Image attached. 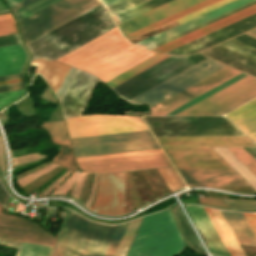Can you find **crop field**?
<instances>
[{
  "instance_id": "6",
  "label": "crop field",
  "mask_w": 256,
  "mask_h": 256,
  "mask_svg": "<svg viewBox=\"0 0 256 256\" xmlns=\"http://www.w3.org/2000/svg\"><path fill=\"white\" fill-rule=\"evenodd\" d=\"M116 226L78 215L60 256H104Z\"/></svg>"
},
{
  "instance_id": "66",
  "label": "crop field",
  "mask_w": 256,
  "mask_h": 256,
  "mask_svg": "<svg viewBox=\"0 0 256 256\" xmlns=\"http://www.w3.org/2000/svg\"><path fill=\"white\" fill-rule=\"evenodd\" d=\"M7 13H10V12H6V13H0V14H7Z\"/></svg>"
},
{
  "instance_id": "24",
  "label": "crop field",
  "mask_w": 256,
  "mask_h": 256,
  "mask_svg": "<svg viewBox=\"0 0 256 256\" xmlns=\"http://www.w3.org/2000/svg\"><path fill=\"white\" fill-rule=\"evenodd\" d=\"M210 49L256 69V48L234 38L220 43Z\"/></svg>"
},
{
  "instance_id": "25",
  "label": "crop field",
  "mask_w": 256,
  "mask_h": 256,
  "mask_svg": "<svg viewBox=\"0 0 256 256\" xmlns=\"http://www.w3.org/2000/svg\"><path fill=\"white\" fill-rule=\"evenodd\" d=\"M225 116L256 142V98Z\"/></svg>"
},
{
  "instance_id": "27",
  "label": "crop field",
  "mask_w": 256,
  "mask_h": 256,
  "mask_svg": "<svg viewBox=\"0 0 256 256\" xmlns=\"http://www.w3.org/2000/svg\"><path fill=\"white\" fill-rule=\"evenodd\" d=\"M204 209L208 214L209 218L211 219L224 244L226 245L231 256H245L234 235L232 234L230 228L228 227L225 219L223 218L220 210L205 207Z\"/></svg>"
},
{
  "instance_id": "2",
  "label": "crop field",
  "mask_w": 256,
  "mask_h": 256,
  "mask_svg": "<svg viewBox=\"0 0 256 256\" xmlns=\"http://www.w3.org/2000/svg\"><path fill=\"white\" fill-rule=\"evenodd\" d=\"M176 169H231L209 146L255 145L247 136L156 137Z\"/></svg>"
},
{
  "instance_id": "28",
  "label": "crop field",
  "mask_w": 256,
  "mask_h": 256,
  "mask_svg": "<svg viewBox=\"0 0 256 256\" xmlns=\"http://www.w3.org/2000/svg\"><path fill=\"white\" fill-rule=\"evenodd\" d=\"M31 64L38 65L36 73L43 75L55 93L69 69V66L49 59L34 60Z\"/></svg>"
},
{
  "instance_id": "16",
  "label": "crop field",
  "mask_w": 256,
  "mask_h": 256,
  "mask_svg": "<svg viewBox=\"0 0 256 256\" xmlns=\"http://www.w3.org/2000/svg\"><path fill=\"white\" fill-rule=\"evenodd\" d=\"M0 237L54 246L56 240L34 223L3 214L0 206Z\"/></svg>"
},
{
  "instance_id": "51",
  "label": "crop field",
  "mask_w": 256,
  "mask_h": 256,
  "mask_svg": "<svg viewBox=\"0 0 256 256\" xmlns=\"http://www.w3.org/2000/svg\"><path fill=\"white\" fill-rule=\"evenodd\" d=\"M229 208H236L240 210H256V200L237 201L223 199Z\"/></svg>"
},
{
  "instance_id": "29",
  "label": "crop field",
  "mask_w": 256,
  "mask_h": 256,
  "mask_svg": "<svg viewBox=\"0 0 256 256\" xmlns=\"http://www.w3.org/2000/svg\"><path fill=\"white\" fill-rule=\"evenodd\" d=\"M238 243L255 244L256 238L242 213L221 210Z\"/></svg>"
},
{
  "instance_id": "46",
  "label": "crop field",
  "mask_w": 256,
  "mask_h": 256,
  "mask_svg": "<svg viewBox=\"0 0 256 256\" xmlns=\"http://www.w3.org/2000/svg\"><path fill=\"white\" fill-rule=\"evenodd\" d=\"M77 214L70 212L52 256H59Z\"/></svg>"
},
{
  "instance_id": "18",
  "label": "crop field",
  "mask_w": 256,
  "mask_h": 256,
  "mask_svg": "<svg viewBox=\"0 0 256 256\" xmlns=\"http://www.w3.org/2000/svg\"><path fill=\"white\" fill-rule=\"evenodd\" d=\"M166 156V155H165ZM164 154L78 163L88 172L103 173L170 165Z\"/></svg>"
},
{
  "instance_id": "63",
  "label": "crop field",
  "mask_w": 256,
  "mask_h": 256,
  "mask_svg": "<svg viewBox=\"0 0 256 256\" xmlns=\"http://www.w3.org/2000/svg\"><path fill=\"white\" fill-rule=\"evenodd\" d=\"M245 34H247V35H249V36H251V37L256 38V28H254V29H252V30L246 32Z\"/></svg>"
},
{
  "instance_id": "53",
  "label": "crop field",
  "mask_w": 256,
  "mask_h": 256,
  "mask_svg": "<svg viewBox=\"0 0 256 256\" xmlns=\"http://www.w3.org/2000/svg\"><path fill=\"white\" fill-rule=\"evenodd\" d=\"M24 89L0 93V107L22 95Z\"/></svg>"
},
{
  "instance_id": "35",
  "label": "crop field",
  "mask_w": 256,
  "mask_h": 256,
  "mask_svg": "<svg viewBox=\"0 0 256 256\" xmlns=\"http://www.w3.org/2000/svg\"><path fill=\"white\" fill-rule=\"evenodd\" d=\"M215 1H218V0H206V1L202 2V3H200V4H197V5L193 6V7H190L188 9H186L184 11H181V12L175 14V15H172V16L166 18V19H163V20H161L159 22H156V23H154V24H152L150 26H147V27H145V28H143L141 30H138V31H136L134 33H131V34L125 36V37L128 40H130V39H132V38H134L136 36H139V35H141V34H143L145 32H148V31L154 29V28L162 26V25H164V24H166V23H168V22H170V21H172V20H174L176 18H179V17H181V16H183L185 14H188V13H190L192 11H195V10H197L199 8H202V7H204V6L208 5V4H211V3L215 2Z\"/></svg>"
},
{
  "instance_id": "43",
  "label": "crop field",
  "mask_w": 256,
  "mask_h": 256,
  "mask_svg": "<svg viewBox=\"0 0 256 256\" xmlns=\"http://www.w3.org/2000/svg\"><path fill=\"white\" fill-rule=\"evenodd\" d=\"M24 88L23 74L0 77V92Z\"/></svg>"
},
{
  "instance_id": "57",
  "label": "crop field",
  "mask_w": 256,
  "mask_h": 256,
  "mask_svg": "<svg viewBox=\"0 0 256 256\" xmlns=\"http://www.w3.org/2000/svg\"><path fill=\"white\" fill-rule=\"evenodd\" d=\"M6 167H7V164H6L5 151H4L2 137L0 135V169L5 170Z\"/></svg>"
},
{
  "instance_id": "20",
  "label": "crop field",
  "mask_w": 256,
  "mask_h": 256,
  "mask_svg": "<svg viewBox=\"0 0 256 256\" xmlns=\"http://www.w3.org/2000/svg\"><path fill=\"white\" fill-rule=\"evenodd\" d=\"M202 1L204 0H174L129 21L119 24L118 26L123 36H125L155 21L161 20Z\"/></svg>"
},
{
  "instance_id": "30",
  "label": "crop field",
  "mask_w": 256,
  "mask_h": 256,
  "mask_svg": "<svg viewBox=\"0 0 256 256\" xmlns=\"http://www.w3.org/2000/svg\"><path fill=\"white\" fill-rule=\"evenodd\" d=\"M107 10L102 4L91 9L90 11L80 15L79 17L69 21L68 23L60 26L59 28L49 32L48 34L38 38L37 40L27 44L29 50H33L39 46H41L42 44L52 40L53 38L63 34L64 32L74 28L75 26L85 22L86 20L96 16L97 14L103 12Z\"/></svg>"
},
{
  "instance_id": "44",
  "label": "crop field",
  "mask_w": 256,
  "mask_h": 256,
  "mask_svg": "<svg viewBox=\"0 0 256 256\" xmlns=\"http://www.w3.org/2000/svg\"><path fill=\"white\" fill-rule=\"evenodd\" d=\"M202 53L256 77V70L251 69L243 64H240L232 59H229L221 54H218L210 49L204 50V51H202Z\"/></svg>"
},
{
  "instance_id": "50",
  "label": "crop field",
  "mask_w": 256,
  "mask_h": 256,
  "mask_svg": "<svg viewBox=\"0 0 256 256\" xmlns=\"http://www.w3.org/2000/svg\"><path fill=\"white\" fill-rule=\"evenodd\" d=\"M127 223L128 222L123 223V224L117 226V228L115 230V233H114V235L112 237V240H111V242H110V244L108 246V249H107V251L105 253V256H113L114 251H115V249H116V247H117V245L119 243V240H120V238H121V236L123 234V231H124Z\"/></svg>"
},
{
  "instance_id": "56",
  "label": "crop field",
  "mask_w": 256,
  "mask_h": 256,
  "mask_svg": "<svg viewBox=\"0 0 256 256\" xmlns=\"http://www.w3.org/2000/svg\"><path fill=\"white\" fill-rule=\"evenodd\" d=\"M243 215L256 236V214L255 213H243Z\"/></svg>"
},
{
  "instance_id": "47",
  "label": "crop field",
  "mask_w": 256,
  "mask_h": 256,
  "mask_svg": "<svg viewBox=\"0 0 256 256\" xmlns=\"http://www.w3.org/2000/svg\"><path fill=\"white\" fill-rule=\"evenodd\" d=\"M253 4H256V1H254V2H252V3H249V4H247V5L243 6V7H240V8H238V9H236V10H233V11L227 13V14H224V15H222V16H220V17H217V18H215V19H213V20H211V21H208V22H206V23H204V24H201V25H199V26H197V27H194V28H192V29H190V30H188V31H185V32H183V33H181V34H178V35H176V36H174V37H172V38H169V39H167V40H165V41H162V42H160V43H158V44H156V45H153V46H151V47H149V48H146V49L151 50V49H153V48H155V47H157V46H160V45H162V44H164V43H167V42H169V41H171V40H173V39H176V38H178V37H180V36H183V35H185V34H187V33H189V32H192V31H194V30H196V29H199V28H201V27H203V26H205V25H208V24H210V23H212V22H215V21H217V20H219V19H221V18H224V17H226V16H228V15H231V14L237 12V11H240V10H242V9H244V8H247V7H249V6L253 5Z\"/></svg>"
},
{
  "instance_id": "4",
  "label": "crop field",
  "mask_w": 256,
  "mask_h": 256,
  "mask_svg": "<svg viewBox=\"0 0 256 256\" xmlns=\"http://www.w3.org/2000/svg\"><path fill=\"white\" fill-rule=\"evenodd\" d=\"M70 140L76 157L160 148L149 130Z\"/></svg>"
},
{
  "instance_id": "64",
  "label": "crop field",
  "mask_w": 256,
  "mask_h": 256,
  "mask_svg": "<svg viewBox=\"0 0 256 256\" xmlns=\"http://www.w3.org/2000/svg\"><path fill=\"white\" fill-rule=\"evenodd\" d=\"M102 1L104 2V4H105L106 6H108V5H110V4L114 3V2H117V1H119V0H102Z\"/></svg>"
},
{
  "instance_id": "32",
  "label": "crop field",
  "mask_w": 256,
  "mask_h": 256,
  "mask_svg": "<svg viewBox=\"0 0 256 256\" xmlns=\"http://www.w3.org/2000/svg\"><path fill=\"white\" fill-rule=\"evenodd\" d=\"M173 212H174L176 221L179 225V228L182 232V235H183L187 245L194 250L204 253L202 247L199 245L194 233L192 232L191 228L189 227L179 206H175L173 208Z\"/></svg>"
},
{
  "instance_id": "22",
  "label": "crop field",
  "mask_w": 256,
  "mask_h": 256,
  "mask_svg": "<svg viewBox=\"0 0 256 256\" xmlns=\"http://www.w3.org/2000/svg\"><path fill=\"white\" fill-rule=\"evenodd\" d=\"M186 209L192 222L196 225L197 229L205 239L209 253L230 256L203 207L187 205Z\"/></svg>"
},
{
  "instance_id": "36",
  "label": "crop field",
  "mask_w": 256,
  "mask_h": 256,
  "mask_svg": "<svg viewBox=\"0 0 256 256\" xmlns=\"http://www.w3.org/2000/svg\"><path fill=\"white\" fill-rule=\"evenodd\" d=\"M169 1H172V0H150V1L145 2V3H143L139 6H136L132 9H129V10L123 12V13L118 14L117 17H118V19L121 23V22L126 21V20H128L132 17H135L139 14H142L146 11H149V10L155 8V7H158L162 4H165ZM117 17L114 16V19L117 22V24H119V21H118Z\"/></svg>"
},
{
  "instance_id": "19",
  "label": "crop field",
  "mask_w": 256,
  "mask_h": 256,
  "mask_svg": "<svg viewBox=\"0 0 256 256\" xmlns=\"http://www.w3.org/2000/svg\"><path fill=\"white\" fill-rule=\"evenodd\" d=\"M187 187L248 185L233 170H178Z\"/></svg>"
},
{
  "instance_id": "7",
  "label": "crop field",
  "mask_w": 256,
  "mask_h": 256,
  "mask_svg": "<svg viewBox=\"0 0 256 256\" xmlns=\"http://www.w3.org/2000/svg\"><path fill=\"white\" fill-rule=\"evenodd\" d=\"M116 27L108 10L69 32L31 51L33 59H57L106 31Z\"/></svg>"
},
{
  "instance_id": "31",
  "label": "crop field",
  "mask_w": 256,
  "mask_h": 256,
  "mask_svg": "<svg viewBox=\"0 0 256 256\" xmlns=\"http://www.w3.org/2000/svg\"><path fill=\"white\" fill-rule=\"evenodd\" d=\"M167 57H169V55L158 54L106 83L111 89Z\"/></svg>"
},
{
  "instance_id": "10",
  "label": "crop field",
  "mask_w": 256,
  "mask_h": 256,
  "mask_svg": "<svg viewBox=\"0 0 256 256\" xmlns=\"http://www.w3.org/2000/svg\"><path fill=\"white\" fill-rule=\"evenodd\" d=\"M224 66L207 58L128 102L152 106Z\"/></svg>"
},
{
  "instance_id": "61",
  "label": "crop field",
  "mask_w": 256,
  "mask_h": 256,
  "mask_svg": "<svg viewBox=\"0 0 256 256\" xmlns=\"http://www.w3.org/2000/svg\"><path fill=\"white\" fill-rule=\"evenodd\" d=\"M255 96H256V94L252 95L251 97H249V98H247V99H245V100H243V101H241V102L235 104L234 106H232V107H230V108H228V109H226V110H224V111H222V112H220V113H218V114H223V113H225V112H227V111H229V110H231V109L237 107L238 105H240V104H242V103L248 101L249 99H251V98H253V97H255Z\"/></svg>"
},
{
  "instance_id": "62",
  "label": "crop field",
  "mask_w": 256,
  "mask_h": 256,
  "mask_svg": "<svg viewBox=\"0 0 256 256\" xmlns=\"http://www.w3.org/2000/svg\"><path fill=\"white\" fill-rule=\"evenodd\" d=\"M9 11L6 5L0 0V12H6Z\"/></svg>"
},
{
  "instance_id": "5",
  "label": "crop field",
  "mask_w": 256,
  "mask_h": 256,
  "mask_svg": "<svg viewBox=\"0 0 256 256\" xmlns=\"http://www.w3.org/2000/svg\"><path fill=\"white\" fill-rule=\"evenodd\" d=\"M101 4L98 0H59L19 22L27 43Z\"/></svg>"
},
{
  "instance_id": "45",
  "label": "crop field",
  "mask_w": 256,
  "mask_h": 256,
  "mask_svg": "<svg viewBox=\"0 0 256 256\" xmlns=\"http://www.w3.org/2000/svg\"><path fill=\"white\" fill-rule=\"evenodd\" d=\"M227 148L256 175V161L242 147Z\"/></svg>"
},
{
  "instance_id": "12",
  "label": "crop field",
  "mask_w": 256,
  "mask_h": 256,
  "mask_svg": "<svg viewBox=\"0 0 256 256\" xmlns=\"http://www.w3.org/2000/svg\"><path fill=\"white\" fill-rule=\"evenodd\" d=\"M239 73L240 72L226 66L150 107V112L152 115H163Z\"/></svg>"
},
{
  "instance_id": "55",
  "label": "crop field",
  "mask_w": 256,
  "mask_h": 256,
  "mask_svg": "<svg viewBox=\"0 0 256 256\" xmlns=\"http://www.w3.org/2000/svg\"><path fill=\"white\" fill-rule=\"evenodd\" d=\"M199 201H200V203L207 204V205H214V206H218V207L228 208L222 199L199 198Z\"/></svg>"
},
{
  "instance_id": "41",
  "label": "crop field",
  "mask_w": 256,
  "mask_h": 256,
  "mask_svg": "<svg viewBox=\"0 0 256 256\" xmlns=\"http://www.w3.org/2000/svg\"><path fill=\"white\" fill-rule=\"evenodd\" d=\"M158 171L164 178L165 182L167 183L171 191L180 189L185 186L180 177L178 176V174L176 173V171L174 170V168H160L158 169Z\"/></svg>"
},
{
  "instance_id": "54",
  "label": "crop field",
  "mask_w": 256,
  "mask_h": 256,
  "mask_svg": "<svg viewBox=\"0 0 256 256\" xmlns=\"http://www.w3.org/2000/svg\"><path fill=\"white\" fill-rule=\"evenodd\" d=\"M19 43H21V41L18 34L0 37V46L15 45Z\"/></svg>"
},
{
  "instance_id": "38",
  "label": "crop field",
  "mask_w": 256,
  "mask_h": 256,
  "mask_svg": "<svg viewBox=\"0 0 256 256\" xmlns=\"http://www.w3.org/2000/svg\"><path fill=\"white\" fill-rule=\"evenodd\" d=\"M140 220L138 218L128 223L114 256H125Z\"/></svg>"
},
{
  "instance_id": "59",
  "label": "crop field",
  "mask_w": 256,
  "mask_h": 256,
  "mask_svg": "<svg viewBox=\"0 0 256 256\" xmlns=\"http://www.w3.org/2000/svg\"><path fill=\"white\" fill-rule=\"evenodd\" d=\"M234 38H236V39H238V40H240L242 42H245V43H247V44H249L251 46L256 47V39L251 38V37H249V36H247L245 34L239 35V36L234 37Z\"/></svg>"
},
{
  "instance_id": "52",
  "label": "crop field",
  "mask_w": 256,
  "mask_h": 256,
  "mask_svg": "<svg viewBox=\"0 0 256 256\" xmlns=\"http://www.w3.org/2000/svg\"><path fill=\"white\" fill-rule=\"evenodd\" d=\"M229 1H232V0H220V1L215 2V3H213V4L209 5V6L204 7L202 9H199V10L193 12V13H190V14H188L186 16H183V17L177 19V21L180 24V23H182V22H184L186 20H189V19H191V18H193L195 16H198V15L204 13V12H207V11H209L211 9H214V8H216V7L220 6V5H223V4H225V3L229 2Z\"/></svg>"
},
{
  "instance_id": "8",
  "label": "crop field",
  "mask_w": 256,
  "mask_h": 256,
  "mask_svg": "<svg viewBox=\"0 0 256 256\" xmlns=\"http://www.w3.org/2000/svg\"><path fill=\"white\" fill-rule=\"evenodd\" d=\"M205 58L207 57L200 54L184 57L172 56L115 87L112 92L127 101Z\"/></svg>"
},
{
  "instance_id": "49",
  "label": "crop field",
  "mask_w": 256,
  "mask_h": 256,
  "mask_svg": "<svg viewBox=\"0 0 256 256\" xmlns=\"http://www.w3.org/2000/svg\"><path fill=\"white\" fill-rule=\"evenodd\" d=\"M147 0H121L108 6L112 16Z\"/></svg>"
},
{
  "instance_id": "48",
  "label": "crop field",
  "mask_w": 256,
  "mask_h": 256,
  "mask_svg": "<svg viewBox=\"0 0 256 256\" xmlns=\"http://www.w3.org/2000/svg\"><path fill=\"white\" fill-rule=\"evenodd\" d=\"M18 33L11 14L0 15V36Z\"/></svg>"
},
{
  "instance_id": "26",
  "label": "crop field",
  "mask_w": 256,
  "mask_h": 256,
  "mask_svg": "<svg viewBox=\"0 0 256 256\" xmlns=\"http://www.w3.org/2000/svg\"><path fill=\"white\" fill-rule=\"evenodd\" d=\"M22 46V44H21ZM23 48V46H22ZM20 47V45L1 47L0 48V76L17 74L20 73V69L25 60V54ZM27 56V54H26ZM28 58V56H27ZM27 60V59H26ZM26 63V61H25ZM24 63V65H25ZM21 69V73H23V68Z\"/></svg>"
},
{
  "instance_id": "60",
  "label": "crop field",
  "mask_w": 256,
  "mask_h": 256,
  "mask_svg": "<svg viewBox=\"0 0 256 256\" xmlns=\"http://www.w3.org/2000/svg\"><path fill=\"white\" fill-rule=\"evenodd\" d=\"M9 195L5 192L2 185L0 184V204L6 208Z\"/></svg>"
},
{
  "instance_id": "42",
  "label": "crop field",
  "mask_w": 256,
  "mask_h": 256,
  "mask_svg": "<svg viewBox=\"0 0 256 256\" xmlns=\"http://www.w3.org/2000/svg\"><path fill=\"white\" fill-rule=\"evenodd\" d=\"M56 1L57 0H38L14 14L19 22Z\"/></svg>"
},
{
  "instance_id": "3",
  "label": "crop field",
  "mask_w": 256,
  "mask_h": 256,
  "mask_svg": "<svg viewBox=\"0 0 256 256\" xmlns=\"http://www.w3.org/2000/svg\"><path fill=\"white\" fill-rule=\"evenodd\" d=\"M170 213L167 209L145 216L127 256L176 255L183 248V242Z\"/></svg>"
},
{
  "instance_id": "23",
  "label": "crop field",
  "mask_w": 256,
  "mask_h": 256,
  "mask_svg": "<svg viewBox=\"0 0 256 256\" xmlns=\"http://www.w3.org/2000/svg\"><path fill=\"white\" fill-rule=\"evenodd\" d=\"M254 12H256V5L251 6V7L247 8V9H244V10H242V11H240L238 13H235V14H233L231 16H228V17H226V18H224L222 20H219V21H217L215 23H212V24H210V25H208L206 27H203V28H201L199 30H196V31H194V32H192L190 34H187V35L183 36V37H180V38H178V39H176L174 41H171V42H169L167 44H164V45H162V46H160L158 48L153 49L152 51H156V52H160V53H165V52H167V51H169V50H171V49H173V48H175L177 46H180V45H182V44H184L186 42H189V41H191L193 39H196V38H198V37H200L202 35H205V34L211 32V31L216 30V29H218L220 27H223V26H225L227 24H230V23H232V22H234L236 20H239V19H241V18H243L245 16H248V15L254 13Z\"/></svg>"
},
{
  "instance_id": "40",
  "label": "crop field",
  "mask_w": 256,
  "mask_h": 256,
  "mask_svg": "<svg viewBox=\"0 0 256 256\" xmlns=\"http://www.w3.org/2000/svg\"><path fill=\"white\" fill-rule=\"evenodd\" d=\"M245 75H246V74L241 73V74H239V75H237V76L231 78L230 80H228V81H226V82L220 84L219 86H217V87H215V88L209 90L208 92H206V93H204V94H202V95L196 97L195 99H193V100H191V101L185 103L184 105H182V106H180V107L174 109L173 111H171V112H169V113H167V114H165V115H174V114H176V113L182 111L183 109H185V108L191 106L192 104H194V103L200 101L201 99H203V98L209 96L210 94H212V93H214V92L220 90L221 88H223V87L229 85L230 83H232V82L238 80L239 78H241V77H243V76H245Z\"/></svg>"
},
{
  "instance_id": "11",
  "label": "crop field",
  "mask_w": 256,
  "mask_h": 256,
  "mask_svg": "<svg viewBox=\"0 0 256 256\" xmlns=\"http://www.w3.org/2000/svg\"><path fill=\"white\" fill-rule=\"evenodd\" d=\"M256 93V79L247 75L176 115H214Z\"/></svg>"
},
{
  "instance_id": "65",
  "label": "crop field",
  "mask_w": 256,
  "mask_h": 256,
  "mask_svg": "<svg viewBox=\"0 0 256 256\" xmlns=\"http://www.w3.org/2000/svg\"><path fill=\"white\" fill-rule=\"evenodd\" d=\"M7 3H8V5L10 6V5H12V4H14V3H16V2H18V1H20V0H5Z\"/></svg>"
},
{
  "instance_id": "17",
  "label": "crop field",
  "mask_w": 256,
  "mask_h": 256,
  "mask_svg": "<svg viewBox=\"0 0 256 256\" xmlns=\"http://www.w3.org/2000/svg\"><path fill=\"white\" fill-rule=\"evenodd\" d=\"M255 26L256 13L246 18H243L237 22H234L228 26H225L219 30H216L210 34H207L201 38H198L192 42H189L183 46H180L174 50H171L167 53L174 55H187L190 53L198 52L216 43L233 37L239 33L249 30Z\"/></svg>"
},
{
  "instance_id": "14",
  "label": "crop field",
  "mask_w": 256,
  "mask_h": 256,
  "mask_svg": "<svg viewBox=\"0 0 256 256\" xmlns=\"http://www.w3.org/2000/svg\"><path fill=\"white\" fill-rule=\"evenodd\" d=\"M89 209L104 214L124 213L123 172L99 175L97 199Z\"/></svg>"
},
{
  "instance_id": "1",
  "label": "crop field",
  "mask_w": 256,
  "mask_h": 256,
  "mask_svg": "<svg viewBox=\"0 0 256 256\" xmlns=\"http://www.w3.org/2000/svg\"><path fill=\"white\" fill-rule=\"evenodd\" d=\"M154 55L128 43L116 27L56 61L86 70L106 82Z\"/></svg>"
},
{
  "instance_id": "37",
  "label": "crop field",
  "mask_w": 256,
  "mask_h": 256,
  "mask_svg": "<svg viewBox=\"0 0 256 256\" xmlns=\"http://www.w3.org/2000/svg\"><path fill=\"white\" fill-rule=\"evenodd\" d=\"M41 128L47 130L53 141L58 144H70L68 136L66 134L64 122H47L44 123Z\"/></svg>"
},
{
  "instance_id": "15",
  "label": "crop field",
  "mask_w": 256,
  "mask_h": 256,
  "mask_svg": "<svg viewBox=\"0 0 256 256\" xmlns=\"http://www.w3.org/2000/svg\"><path fill=\"white\" fill-rule=\"evenodd\" d=\"M100 79L77 70L61 99L64 117L80 115Z\"/></svg>"
},
{
  "instance_id": "58",
  "label": "crop field",
  "mask_w": 256,
  "mask_h": 256,
  "mask_svg": "<svg viewBox=\"0 0 256 256\" xmlns=\"http://www.w3.org/2000/svg\"><path fill=\"white\" fill-rule=\"evenodd\" d=\"M34 1H36V0H21L20 2L14 4V5L10 6V7H11L13 12H16V11L22 9L23 7L31 4Z\"/></svg>"
},
{
  "instance_id": "13",
  "label": "crop field",
  "mask_w": 256,
  "mask_h": 256,
  "mask_svg": "<svg viewBox=\"0 0 256 256\" xmlns=\"http://www.w3.org/2000/svg\"><path fill=\"white\" fill-rule=\"evenodd\" d=\"M142 118L150 130L238 129L223 116Z\"/></svg>"
},
{
  "instance_id": "9",
  "label": "crop field",
  "mask_w": 256,
  "mask_h": 256,
  "mask_svg": "<svg viewBox=\"0 0 256 256\" xmlns=\"http://www.w3.org/2000/svg\"><path fill=\"white\" fill-rule=\"evenodd\" d=\"M70 138L147 129L140 117L90 115L64 118Z\"/></svg>"
},
{
  "instance_id": "21",
  "label": "crop field",
  "mask_w": 256,
  "mask_h": 256,
  "mask_svg": "<svg viewBox=\"0 0 256 256\" xmlns=\"http://www.w3.org/2000/svg\"><path fill=\"white\" fill-rule=\"evenodd\" d=\"M252 1H254V0H234V1L230 2V3H228V4H225V5H223V6L219 7V8H216V9L210 11V12H207V13L201 15V16H198V17H196V18H194V19H192L190 21H187V22L181 24V25H177V26H175L173 28H170V29H168V30H166L164 32H161V33H159V34H157L155 36H152V37H150L148 39H145V40H143V41H141L139 43L144 45V46H146V47H148V46L153 45V44H155V43H157L159 41H162V40H164L166 38H169V37H171L173 35H176V34H178L180 32H183V31H185V30H187L189 28H192V27H194L196 25H199V24H201L203 22H206V21H208L210 19H213V18H215V17H217L219 15H222V14H224L226 12H229V11H231L233 9H236V8H238L240 6H243V5H245V4L249 3V2H252ZM140 44L137 43L136 45L139 46V47L146 48V47H144V46H142Z\"/></svg>"
},
{
  "instance_id": "33",
  "label": "crop field",
  "mask_w": 256,
  "mask_h": 256,
  "mask_svg": "<svg viewBox=\"0 0 256 256\" xmlns=\"http://www.w3.org/2000/svg\"><path fill=\"white\" fill-rule=\"evenodd\" d=\"M0 244L19 248L21 243L0 239ZM52 248L23 243L17 256H50Z\"/></svg>"
},
{
  "instance_id": "39",
  "label": "crop field",
  "mask_w": 256,
  "mask_h": 256,
  "mask_svg": "<svg viewBox=\"0 0 256 256\" xmlns=\"http://www.w3.org/2000/svg\"><path fill=\"white\" fill-rule=\"evenodd\" d=\"M163 153L161 149L76 158L78 162Z\"/></svg>"
},
{
  "instance_id": "34",
  "label": "crop field",
  "mask_w": 256,
  "mask_h": 256,
  "mask_svg": "<svg viewBox=\"0 0 256 256\" xmlns=\"http://www.w3.org/2000/svg\"><path fill=\"white\" fill-rule=\"evenodd\" d=\"M154 136L245 135L240 130L152 131Z\"/></svg>"
}]
</instances>
